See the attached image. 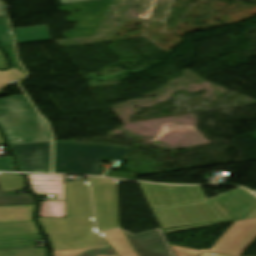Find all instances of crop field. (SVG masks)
<instances>
[{
  "instance_id": "8a807250",
  "label": "crop field",
  "mask_w": 256,
  "mask_h": 256,
  "mask_svg": "<svg viewBox=\"0 0 256 256\" xmlns=\"http://www.w3.org/2000/svg\"><path fill=\"white\" fill-rule=\"evenodd\" d=\"M65 190L67 219L38 218L53 256H117L94 227L87 181L65 182Z\"/></svg>"
},
{
  "instance_id": "ac0d7876",
  "label": "crop field",
  "mask_w": 256,
  "mask_h": 256,
  "mask_svg": "<svg viewBox=\"0 0 256 256\" xmlns=\"http://www.w3.org/2000/svg\"><path fill=\"white\" fill-rule=\"evenodd\" d=\"M256 198L248 191L237 188L202 203L152 210L161 228L221 221L244 216Z\"/></svg>"
},
{
  "instance_id": "34b2d1b8",
  "label": "crop field",
  "mask_w": 256,
  "mask_h": 256,
  "mask_svg": "<svg viewBox=\"0 0 256 256\" xmlns=\"http://www.w3.org/2000/svg\"><path fill=\"white\" fill-rule=\"evenodd\" d=\"M25 96L0 99V127L8 145L49 142L47 123L39 116Z\"/></svg>"
},
{
  "instance_id": "412701ff",
  "label": "crop field",
  "mask_w": 256,
  "mask_h": 256,
  "mask_svg": "<svg viewBox=\"0 0 256 256\" xmlns=\"http://www.w3.org/2000/svg\"><path fill=\"white\" fill-rule=\"evenodd\" d=\"M130 148L55 142L54 173L102 176V158L125 159Z\"/></svg>"
},
{
  "instance_id": "f4fd0767",
  "label": "crop field",
  "mask_w": 256,
  "mask_h": 256,
  "mask_svg": "<svg viewBox=\"0 0 256 256\" xmlns=\"http://www.w3.org/2000/svg\"><path fill=\"white\" fill-rule=\"evenodd\" d=\"M90 181L99 231L120 228L117 181L92 177Z\"/></svg>"
},
{
  "instance_id": "dd49c442",
  "label": "crop field",
  "mask_w": 256,
  "mask_h": 256,
  "mask_svg": "<svg viewBox=\"0 0 256 256\" xmlns=\"http://www.w3.org/2000/svg\"><path fill=\"white\" fill-rule=\"evenodd\" d=\"M151 209L201 202L206 199L201 187L159 186L139 183Z\"/></svg>"
},
{
  "instance_id": "e52e79f7",
  "label": "crop field",
  "mask_w": 256,
  "mask_h": 256,
  "mask_svg": "<svg viewBox=\"0 0 256 256\" xmlns=\"http://www.w3.org/2000/svg\"><path fill=\"white\" fill-rule=\"evenodd\" d=\"M256 239V219L235 222L209 252L240 256Z\"/></svg>"
},
{
  "instance_id": "d8731c3e",
  "label": "crop field",
  "mask_w": 256,
  "mask_h": 256,
  "mask_svg": "<svg viewBox=\"0 0 256 256\" xmlns=\"http://www.w3.org/2000/svg\"><path fill=\"white\" fill-rule=\"evenodd\" d=\"M50 144L51 142L10 146L9 148L16 154L20 170L49 172L51 167Z\"/></svg>"
},
{
  "instance_id": "5a996713",
  "label": "crop field",
  "mask_w": 256,
  "mask_h": 256,
  "mask_svg": "<svg viewBox=\"0 0 256 256\" xmlns=\"http://www.w3.org/2000/svg\"><path fill=\"white\" fill-rule=\"evenodd\" d=\"M125 233V232H124ZM139 256H171L159 230L132 236L125 233Z\"/></svg>"
},
{
  "instance_id": "3316defc",
  "label": "crop field",
  "mask_w": 256,
  "mask_h": 256,
  "mask_svg": "<svg viewBox=\"0 0 256 256\" xmlns=\"http://www.w3.org/2000/svg\"><path fill=\"white\" fill-rule=\"evenodd\" d=\"M32 190L36 195H45L63 199V182L61 176L27 175ZM39 180V182H37ZM57 194H59L57 196Z\"/></svg>"
},
{
  "instance_id": "28ad6ade",
  "label": "crop field",
  "mask_w": 256,
  "mask_h": 256,
  "mask_svg": "<svg viewBox=\"0 0 256 256\" xmlns=\"http://www.w3.org/2000/svg\"><path fill=\"white\" fill-rule=\"evenodd\" d=\"M105 240L115 250L118 256H138L133 246L120 230L101 233Z\"/></svg>"
},
{
  "instance_id": "d1516ede",
  "label": "crop field",
  "mask_w": 256,
  "mask_h": 256,
  "mask_svg": "<svg viewBox=\"0 0 256 256\" xmlns=\"http://www.w3.org/2000/svg\"><path fill=\"white\" fill-rule=\"evenodd\" d=\"M13 30L17 45L51 40L47 26Z\"/></svg>"
},
{
  "instance_id": "22f410ed",
  "label": "crop field",
  "mask_w": 256,
  "mask_h": 256,
  "mask_svg": "<svg viewBox=\"0 0 256 256\" xmlns=\"http://www.w3.org/2000/svg\"><path fill=\"white\" fill-rule=\"evenodd\" d=\"M38 217L66 218L65 202H41Z\"/></svg>"
},
{
  "instance_id": "cbeb9de0",
  "label": "crop field",
  "mask_w": 256,
  "mask_h": 256,
  "mask_svg": "<svg viewBox=\"0 0 256 256\" xmlns=\"http://www.w3.org/2000/svg\"><path fill=\"white\" fill-rule=\"evenodd\" d=\"M34 204L30 194L24 195H3L0 192V206Z\"/></svg>"
},
{
  "instance_id": "5142ce71",
  "label": "crop field",
  "mask_w": 256,
  "mask_h": 256,
  "mask_svg": "<svg viewBox=\"0 0 256 256\" xmlns=\"http://www.w3.org/2000/svg\"><path fill=\"white\" fill-rule=\"evenodd\" d=\"M25 74H23L21 71H19L16 68L10 69L6 72L0 71V90L5 87L6 85L24 77Z\"/></svg>"
},
{
  "instance_id": "d9b57169",
  "label": "crop field",
  "mask_w": 256,
  "mask_h": 256,
  "mask_svg": "<svg viewBox=\"0 0 256 256\" xmlns=\"http://www.w3.org/2000/svg\"><path fill=\"white\" fill-rule=\"evenodd\" d=\"M0 45H13L11 33L6 18H0Z\"/></svg>"
},
{
  "instance_id": "733c2abd",
  "label": "crop field",
  "mask_w": 256,
  "mask_h": 256,
  "mask_svg": "<svg viewBox=\"0 0 256 256\" xmlns=\"http://www.w3.org/2000/svg\"><path fill=\"white\" fill-rule=\"evenodd\" d=\"M175 256H198L202 251L193 250L185 247H180L176 245L171 246Z\"/></svg>"
},
{
  "instance_id": "4a817a6b",
  "label": "crop field",
  "mask_w": 256,
  "mask_h": 256,
  "mask_svg": "<svg viewBox=\"0 0 256 256\" xmlns=\"http://www.w3.org/2000/svg\"><path fill=\"white\" fill-rule=\"evenodd\" d=\"M255 217H256V207L244 219H250V218H255ZM244 219H240V220H244ZM233 221H238V220H233ZM224 222H230V221H224ZM224 222H218V223H224ZM218 223L170 229V230H165L164 233L167 234V233H172V232H177V231H182V230H187V229H192V228H197V227H202V226H207V225H213V224H218Z\"/></svg>"
},
{
  "instance_id": "bc2a9ffb",
  "label": "crop field",
  "mask_w": 256,
  "mask_h": 256,
  "mask_svg": "<svg viewBox=\"0 0 256 256\" xmlns=\"http://www.w3.org/2000/svg\"><path fill=\"white\" fill-rule=\"evenodd\" d=\"M105 176L107 177H115V178H123V179H131V180H135L134 176L132 174H125V173H118V172H111V171H107V173L105 174Z\"/></svg>"
},
{
  "instance_id": "214f88e0",
  "label": "crop field",
  "mask_w": 256,
  "mask_h": 256,
  "mask_svg": "<svg viewBox=\"0 0 256 256\" xmlns=\"http://www.w3.org/2000/svg\"><path fill=\"white\" fill-rule=\"evenodd\" d=\"M0 170H13L11 159H0Z\"/></svg>"
},
{
  "instance_id": "92a150f3",
  "label": "crop field",
  "mask_w": 256,
  "mask_h": 256,
  "mask_svg": "<svg viewBox=\"0 0 256 256\" xmlns=\"http://www.w3.org/2000/svg\"><path fill=\"white\" fill-rule=\"evenodd\" d=\"M0 68H3V69L6 68V62H5L4 57L1 53H0Z\"/></svg>"
},
{
  "instance_id": "dafd665d",
  "label": "crop field",
  "mask_w": 256,
  "mask_h": 256,
  "mask_svg": "<svg viewBox=\"0 0 256 256\" xmlns=\"http://www.w3.org/2000/svg\"><path fill=\"white\" fill-rule=\"evenodd\" d=\"M203 256H213V255H211L210 253H206ZM215 256H221V255H215Z\"/></svg>"
},
{
  "instance_id": "00972430",
  "label": "crop field",
  "mask_w": 256,
  "mask_h": 256,
  "mask_svg": "<svg viewBox=\"0 0 256 256\" xmlns=\"http://www.w3.org/2000/svg\"><path fill=\"white\" fill-rule=\"evenodd\" d=\"M0 144H2V140H1V138H0Z\"/></svg>"
}]
</instances>
